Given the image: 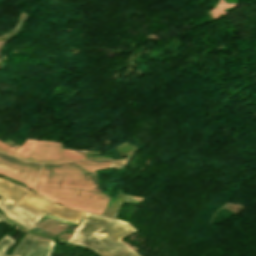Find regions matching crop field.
Returning <instances> with one entry per match:
<instances>
[{"mask_svg":"<svg viewBox=\"0 0 256 256\" xmlns=\"http://www.w3.org/2000/svg\"><path fill=\"white\" fill-rule=\"evenodd\" d=\"M127 160H93L54 164L42 163V169L35 191L70 208L101 214L109 197L102 193L95 171L106 168L122 169ZM40 185L94 192L44 187Z\"/></svg>","mask_w":256,"mask_h":256,"instance_id":"crop-field-1","label":"crop field"},{"mask_svg":"<svg viewBox=\"0 0 256 256\" xmlns=\"http://www.w3.org/2000/svg\"><path fill=\"white\" fill-rule=\"evenodd\" d=\"M133 231L125 222L86 213L70 241L89 246L101 256H138L119 240Z\"/></svg>","mask_w":256,"mask_h":256,"instance_id":"crop-field-2","label":"crop field"},{"mask_svg":"<svg viewBox=\"0 0 256 256\" xmlns=\"http://www.w3.org/2000/svg\"><path fill=\"white\" fill-rule=\"evenodd\" d=\"M5 195L0 199V203L8 197V199L0 204V208L6 213L5 216L8 218L16 221L17 223L30 228L32 227L38 220L39 217L29 213L28 211L20 208L19 206L39 215L43 216L46 212L59 217L61 219H68L71 221H74L78 223L80 217L84 212L68 209L66 207H63L61 205L55 204L53 202L48 201L44 197L31 192L29 190H26L24 188H21L19 186L12 185L8 182H5L0 179V195ZM19 203V204H18ZM16 204H18L14 209L8 212L9 209L13 208ZM16 210L26 214L27 216L33 218L34 220H31L19 213L16 212ZM14 214L21 219L29 222L30 224H26L19 219L11 216L10 214ZM82 218V217H81Z\"/></svg>","mask_w":256,"mask_h":256,"instance_id":"crop-field-3","label":"crop field"},{"mask_svg":"<svg viewBox=\"0 0 256 256\" xmlns=\"http://www.w3.org/2000/svg\"><path fill=\"white\" fill-rule=\"evenodd\" d=\"M0 152L13 154L26 161L64 162L85 159L84 156L69 150H61V144L48 141H37L27 138L19 150L0 142Z\"/></svg>","mask_w":256,"mask_h":256,"instance_id":"crop-field-4","label":"crop field"},{"mask_svg":"<svg viewBox=\"0 0 256 256\" xmlns=\"http://www.w3.org/2000/svg\"><path fill=\"white\" fill-rule=\"evenodd\" d=\"M40 164H31L21 161L11 155L0 153V174L12 177L26 187L34 188Z\"/></svg>","mask_w":256,"mask_h":256,"instance_id":"crop-field-5","label":"crop field"},{"mask_svg":"<svg viewBox=\"0 0 256 256\" xmlns=\"http://www.w3.org/2000/svg\"><path fill=\"white\" fill-rule=\"evenodd\" d=\"M13 242L6 235L0 240V256H6L3 254ZM54 243L40 241L26 235L10 256H50Z\"/></svg>","mask_w":256,"mask_h":256,"instance_id":"crop-field-6","label":"crop field"}]
</instances>
